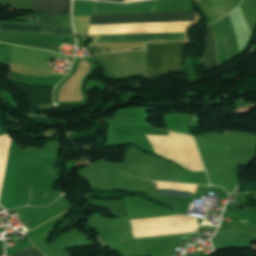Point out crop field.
<instances>
[{
  "label": "crop field",
  "instance_id": "obj_10",
  "mask_svg": "<svg viewBox=\"0 0 256 256\" xmlns=\"http://www.w3.org/2000/svg\"><path fill=\"white\" fill-rule=\"evenodd\" d=\"M2 229V228H1Z\"/></svg>",
  "mask_w": 256,
  "mask_h": 256
},
{
  "label": "crop field",
  "instance_id": "obj_7",
  "mask_svg": "<svg viewBox=\"0 0 256 256\" xmlns=\"http://www.w3.org/2000/svg\"><path fill=\"white\" fill-rule=\"evenodd\" d=\"M10 256H45V255L40 253L34 246H32L30 248H27L25 250H22Z\"/></svg>",
  "mask_w": 256,
  "mask_h": 256
},
{
  "label": "crop field",
  "instance_id": "obj_5",
  "mask_svg": "<svg viewBox=\"0 0 256 256\" xmlns=\"http://www.w3.org/2000/svg\"><path fill=\"white\" fill-rule=\"evenodd\" d=\"M212 25V24H211ZM207 48L203 56L204 68H214L218 66L216 48L213 35V27L210 26L208 29Z\"/></svg>",
  "mask_w": 256,
  "mask_h": 256
},
{
  "label": "crop field",
  "instance_id": "obj_2",
  "mask_svg": "<svg viewBox=\"0 0 256 256\" xmlns=\"http://www.w3.org/2000/svg\"><path fill=\"white\" fill-rule=\"evenodd\" d=\"M182 61L183 56L181 42L147 44L145 64L146 71H148V77H155L165 73L181 70Z\"/></svg>",
  "mask_w": 256,
  "mask_h": 256
},
{
  "label": "crop field",
  "instance_id": "obj_9",
  "mask_svg": "<svg viewBox=\"0 0 256 256\" xmlns=\"http://www.w3.org/2000/svg\"><path fill=\"white\" fill-rule=\"evenodd\" d=\"M106 1L123 2V0H106Z\"/></svg>",
  "mask_w": 256,
  "mask_h": 256
},
{
  "label": "crop field",
  "instance_id": "obj_4",
  "mask_svg": "<svg viewBox=\"0 0 256 256\" xmlns=\"http://www.w3.org/2000/svg\"><path fill=\"white\" fill-rule=\"evenodd\" d=\"M0 31L35 32L44 34L74 36L73 29L69 28L33 26L24 24H1Z\"/></svg>",
  "mask_w": 256,
  "mask_h": 256
},
{
  "label": "crop field",
  "instance_id": "obj_1",
  "mask_svg": "<svg viewBox=\"0 0 256 256\" xmlns=\"http://www.w3.org/2000/svg\"><path fill=\"white\" fill-rule=\"evenodd\" d=\"M187 13H194V12H187ZM163 14H184V13L107 15V16H91L90 18L163 15ZM193 17H194V14L100 18V19H90V24H125V23H145V22H164V21H192ZM175 39H184V32L132 34V35H102L99 42H144V41L175 40Z\"/></svg>",
  "mask_w": 256,
  "mask_h": 256
},
{
  "label": "crop field",
  "instance_id": "obj_8",
  "mask_svg": "<svg viewBox=\"0 0 256 256\" xmlns=\"http://www.w3.org/2000/svg\"><path fill=\"white\" fill-rule=\"evenodd\" d=\"M4 255V250H3V246L0 247V256H3Z\"/></svg>",
  "mask_w": 256,
  "mask_h": 256
},
{
  "label": "crop field",
  "instance_id": "obj_6",
  "mask_svg": "<svg viewBox=\"0 0 256 256\" xmlns=\"http://www.w3.org/2000/svg\"><path fill=\"white\" fill-rule=\"evenodd\" d=\"M220 228L221 229H226V230H232V231H237V232L256 235V225H248V224L227 222L226 227L220 226Z\"/></svg>",
  "mask_w": 256,
  "mask_h": 256
},
{
  "label": "crop field",
  "instance_id": "obj_3",
  "mask_svg": "<svg viewBox=\"0 0 256 256\" xmlns=\"http://www.w3.org/2000/svg\"><path fill=\"white\" fill-rule=\"evenodd\" d=\"M71 0H33L32 11L44 15H63L70 12Z\"/></svg>",
  "mask_w": 256,
  "mask_h": 256
}]
</instances>
